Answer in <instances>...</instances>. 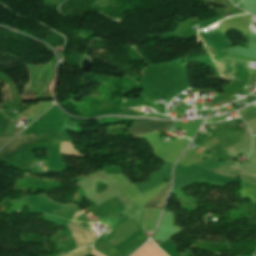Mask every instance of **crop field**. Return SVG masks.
<instances>
[{"label":"crop field","instance_id":"8a807250","mask_svg":"<svg viewBox=\"0 0 256 256\" xmlns=\"http://www.w3.org/2000/svg\"><path fill=\"white\" fill-rule=\"evenodd\" d=\"M172 121H142L137 120L128 129V133L132 134L136 138L138 136L154 132L156 130L169 131Z\"/></svg>","mask_w":256,"mask_h":256},{"label":"crop field","instance_id":"ac0d7876","mask_svg":"<svg viewBox=\"0 0 256 256\" xmlns=\"http://www.w3.org/2000/svg\"><path fill=\"white\" fill-rule=\"evenodd\" d=\"M181 231L179 228L173 226V213L165 212L158 228L153 236L154 241L161 240L162 242L170 239L177 232Z\"/></svg>","mask_w":256,"mask_h":256},{"label":"crop field","instance_id":"34b2d1b8","mask_svg":"<svg viewBox=\"0 0 256 256\" xmlns=\"http://www.w3.org/2000/svg\"><path fill=\"white\" fill-rule=\"evenodd\" d=\"M171 167H172L171 165L165 163V165L159 171H157L156 173L150 174L149 181H147L143 184H137L135 186L138 188V190L142 194V193L158 186L159 184H161L164 181V179H168L171 181V177H170Z\"/></svg>","mask_w":256,"mask_h":256},{"label":"crop field","instance_id":"412701ff","mask_svg":"<svg viewBox=\"0 0 256 256\" xmlns=\"http://www.w3.org/2000/svg\"><path fill=\"white\" fill-rule=\"evenodd\" d=\"M67 225L74 235L79 247L83 245H91L94 239L89 231L80 228V224L76 222L70 221Z\"/></svg>","mask_w":256,"mask_h":256},{"label":"crop field","instance_id":"f4fd0767","mask_svg":"<svg viewBox=\"0 0 256 256\" xmlns=\"http://www.w3.org/2000/svg\"><path fill=\"white\" fill-rule=\"evenodd\" d=\"M209 171L216 173V174L223 175V176H227V177H235V175H239V173H240L239 172L240 170L231 168V166H228V165L223 166L221 168L209 170ZM240 176L243 179V181L256 185V175L240 174Z\"/></svg>","mask_w":256,"mask_h":256},{"label":"crop field","instance_id":"dd49c442","mask_svg":"<svg viewBox=\"0 0 256 256\" xmlns=\"http://www.w3.org/2000/svg\"><path fill=\"white\" fill-rule=\"evenodd\" d=\"M170 184L159 194H157L154 198L151 199L149 203L145 207H157L162 208L166 197L168 195Z\"/></svg>","mask_w":256,"mask_h":256},{"label":"crop field","instance_id":"e52e79f7","mask_svg":"<svg viewBox=\"0 0 256 256\" xmlns=\"http://www.w3.org/2000/svg\"><path fill=\"white\" fill-rule=\"evenodd\" d=\"M90 249L91 247L86 246L64 256H85L89 254Z\"/></svg>","mask_w":256,"mask_h":256},{"label":"crop field","instance_id":"d8731c3e","mask_svg":"<svg viewBox=\"0 0 256 256\" xmlns=\"http://www.w3.org/2000/svg\"><path fill=\"white\" fill-rule=\"evenodd\" d=\"M13 124H14V121L10 120L6 134H17L22 130L20 128H14Z\"/></svg>","mask_w":256,"mask_h":256},{"label":"crop field","instance_id":"5a996713","mask_svg":"<svg viewBox=\"0 0 256 256\" xmlns=\"http://www.w3.org/2000/svg\"><path fill=\"white\" fill-rule=\"evenodd\" d=\"M91 253H93L95 256H103V255L97 253L96 251H94L93 249L91 250Z\"/></svg>","mask_w":256,"mask_h":256}]
</instances>
